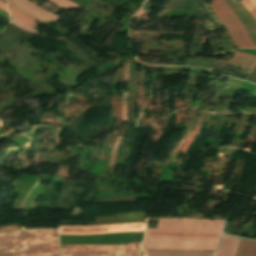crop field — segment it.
Here are the masks:
<instances>
[{
    "mask_svg": "<svg viewBox=\"0 0 256 256\" xmlns=\"http://www.w3.org/2000/svg\"><path fill=\"white\" fill-rule=\"evenodd\" d=\"M223 222L159 220L148 228L144 249L215 250Z\"/></svg>",
    "mask_w": 256,
    "mask_h": 256,
    "instance_id": "1",
    "label": "crop field"
},
{
    "mask_svg": "<svg viewBox=\"0 0 256 256\" xmlns=\"http://www.w3.org/2000/svg\"><path fill=\"white\" fill-rule=\"evenodd\" d=\"M0 256H58L56 230H19L0 234Z\"/></svg>",
    "mask_w": 256,
    "mask_h": 256,
    "instance_id": "2",
    "label": "crop field"
},
{
    "mask_svg": "<svg viewBox=\"0 0 256 256\" xmlns=\"http://www.w3.org/2000/svg\"><path fill=\"white\" fill-rule=\"evenodd\" d=\"M141 244L61 246V256H139Z\"/></svg>",
    "mask_w": 256,
    "mask_h": 256,
    "instance_id": "3",
    "label": "crop field"
},
{
    "mask_svg": "<svg viewBox=\"0 0 256 256\" xmlns=\"http://www.w3.org/2000/svg\"><path fill=\"white\" fill-rule=\"evenodd\" d=\"M209 6L226 27L238 48H255L241 23L224 0H215Z\"/></svg>",
    "mask_w": 256,
    "mask_h": 256,
    "instance_id": "4",
    "label": "crop field"
},
{
    "mask_svg": "<svg viewBox=\"0 0 256 256\" xmlns=\"http://www.w3.org/2000/svg\"><path fill=\"white\" fill-rule=\"evenodd\" d=\"M145 223L106 226H60V234L89 235L122 231H144Z\"/></svg>",
    "mask_w": 256,
    "mask_h": 256,
    "instance_id": "5",
    "label": "crop field"
},
{
    "mask_svg": "<svg viewBox=\"0 0 256 256\" xmlns=\"http://www.w3.org/2000/svg\"><path fill=\"white\" fill-rule=\"evenodd\" d=\"M8 5L40 22L60 19L28 0H8Z\"/></svg>",
    "mask_w": 256,
    "mask_h": 256,
    "instance_id": "6",
    "label": "crop field"
},
{
    "mask_svg": "<svg viewBox=\"0 0 256 256\" xmlns=\"http://www.w3.org/2000/svg\"><path fill=\"white\" fill-rule=\"evenodd\" d=\"M256 46V26L238 0H225Z\"/></svg>",
    "mask_w": 256,
    "mask_h": 256,
    "instance_id": "7",
    "label": "crop field"
},
{
    "mask_svg": "<svg viewBox=\"0 0 256 256\" xmlns=\"http://www.w3.org/2000/svg\"><path fill=\"white\" fill-rule=\"evenodd\" d=\"M214 252L146 250L145 256H213Z\"/></svg>",
    "mask_w": 256,
    "mask_h": 256,
    "instance_id": "8",
    "label": "crop field"
},
{
    "mask_svg": "<svg viewBox=\"0 0 256 256\" xmlns=\"http://www.w3.org/2000/svg\"><path fill=\"white\" fill-rule=\"evenodd\" d=\"M214 60L219 62H224L216 59ZM224 63L253 69L256 65V57L234 51V57Z\"/></svg>",
    "mask_w": 256,
    "mask_h": 256,
    "instance_id": "9",
    "label": "crop field"
},
{
    "mask_svg": "<svg viewBox=\"0 0 256 256\" xmlns=\"http://www.w3.org/2000/svg\"><path fill=\"white\" fill-rule=\"evenodd\" d=\"M235 256H256V240L241 238Z\"/></svg>",
    "mask_w": 256,
    "mask_h": 256,
    "instance_id": "10",
    "label": "crop field"
},
{
    "mask_svg": "<svg viewBox=\"0 0 256 256\" xmlns=\"http://www.w3.org/2000/svg\"><path fill=\"white\" fill-rule=\"evenodd\" d=\"M238 240L237 238L224 236L217 256H233Z\"/></svg>",
    "mask_w": 256,
    "mask_h": 256,
    "instance_id": "11",
    "label": "crop field"
},
{
    "mask_svg": "<svg viewBox=\"0 0 256 256\" xmlns=\"http://www.w3.org/2000/svg\"><path fill=\"white\" fill-rule=\"evenodd\" d=\"M241 2L256 22V0H241Z\"/></svg>",
    "mask_w": 256,
    "mask_h": 256,
    "instance_id": "12",
    "label": "crop field"
},
{
    "mask_svg": "<svg viewBox=\"0 0 256 256\" xmlns=\"http://www.w3.org/2000/svg\"><path fill=\"white\" fill-rule=\"evenodd\" d=\"M8 10H9V12H10L11 15H13V16L19 18L20 20H22V21L28 23L29 25L35 27V24H36V21H35V20H33V19H31V18H29V17L23 15L22 13H20V12L14 10V9H12V8L9 7V6H8Z\"/></svg>",
    "mask_w": 256,
    "mask_h": 256,
    "instance_id": "13",
    "label": "crop field"
},
{
    "mask_svg": "<svg viewBox=\"0 0 256 256\" xmlns=\"http://www.w3.org/2000/svg\"><path fill=\"white\" fill-rule=\"evenodd\" d=\"M48 1L64 10L74 8V7H77V8L80 7V6L70 2L69 0H48Z\"/></svg>",
    "mask_w": 256,
    "mask_h": 256,
    "instance_id": "14",
    "label": "crop field"
},
{
    "mask_svg": "<svg viewBox=\"0 0 256 256\" xmlns=\"http://www.w3.org/2000/svg\"><path fill=\"white\" fill-rule=\"evenodd\" d=\"M12 23L18 25L19 27L29 31V32H33V33H37L38 34V31L37 30H34V28L28 26L27 24L23 23L22 21L18 20L17 18L13 17L12 19Z\"/></svg>",
    "mask_w": 256,
    "mask_h": 256,
    "instance_id": "15",
    "label": "crop field"
},
{
    "mask_svg": "<svg viewBox=\"0 0 256 256\" xmlns=\"http://www.w3.org/2000/svg\"><path fill=\"white\" fill-rule=\"evenodd\" d=\"M0 8H2V9L5 10V11H7V9H6V4L3 3V2H1V1H0ZM7 12H8V11H7Z\"/></svg>",
    "mask_w": 256,
    "mask_h": 256,
    "instance_id": "16",
    "label": "crop field"
},
{
    "mask_svg": "<svg viewBox=\"0 0 256 256\" xmlns=\"http://www.w3.org/2000/svg\"><path fill=\"white\" fill-rule=\"evenodd\" d=\"M3 1V0H2Z\"/></svg>",
    "mask_w": 256,
    "mask_h": 256,
    "instance_id": "17",
    "label": "crop field"
}]
</instances>
